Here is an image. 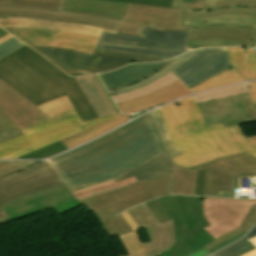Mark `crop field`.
Wrapping results in <instances>:
<instances>
[{
  "mask_svg": "<svg viewBox=\"0 0 256 256\" xmlns=\"http://www.w3.org/2000/svg\"><path fill=\"white\" fill-rule=\"evenodd\" d=\"M137 182L136 178H130L127 179L125 181L119 182L117 183L115 180L113 181H109V182H105L90 188H86V189H82V190H78V191H74L73 193L76 195V197L81 200L87 197H91L103 192H107L110 191L112 189H116L125 185H128L130 183H134Z\"/></svg>",
  "mask_w": 256,
  "mask_h": 256,
  "instance_id": "33",
  "label": "crop field"
},
{
  "mask_svg": "<svg viewBox=\"0 0 256 256\" xmlns=\"http://www.w3.org/2000/svg\"><path fill=\"white\" fill-rule=\"evenodd\" d=\"M102 228L110 237L132 232L120 214L106 222Z\"/></svg>",
  "mask_w": 256,
  "mask_h": 256,
  "instance_id": "41",
  "label": "crop field"
},
{
  "mask_svg": "<svg viewBox=\"0 0 256 256\" xmlns=\"http://www.w3.org/2000/svg\"><path fill=\"white\" fill-rule=\"evenodd\" d=\"M1 27H24V28H34V29H56V30H64L70 31L90 36H99L100 30L104 31H112L108 29H102L92 26L86 25H78V24H68L61 23L55 21H47V20H37V19H28V18H15L8 17V19H0Z\"/></svg>",
  "mask_w": 256,
  "mask_h": 256,
  "instance_id": "21",
  "label": "crop field"
},
{
  "mask_svg": "<svg viewBox=\"0 0 256 256\" xmlns=\"http://www.w3.org/2000/svg\"><path fill=\"white\" fill-rule=\"evenodd\" d=\"M6 34H8V33H6L5 31H3V30L0 28V37L4 36V35H6Z\"/></svg>",
  "mask_w": 256,
  "mask_h": 256,
  "instance_id": "59",
  "label": "crop field"
},
{
  "mask_svg": "<svg viewBox=\"0 0 256 256\" xmlns=\"http://www.w3.org/2000/svg\"><path fill=\"white\" fill-rule=\"evenodd\" d=\"M12 221L10 217L0 219V224Z\"/></svg>",
  "mask_w": 256,
  "mask_h": 256,
  "instance_id": "56",
  "label": "crop field"
},
{
  "mask_svg": "<svg viewBox=\"0 0 256 256\" xmlns=\"http://www.w3.org/2000/svg\"><path fill=\"white\" fill-rule=\"evenodd\" d=\"M129 116L130 115H125L107 122L99 123L89 129L83 130L78 134L62 139L61 141L68 149H70L126 122Z\"/></svg>",
  "mask_w": 256,
  "mask_h": 256,
  "instance_id": "27",
  "label": "crop field"
},
{
  "mask_svg": "<svg viewBox=\"0 0 256 256\" xmlns=\"http://www.w3.org/2000/svg\"><path fill=\"white\" fill-rule=\"evenodd\" d=\"M188 31L161 30L144 27L142 37L100 32L96 48L126 53L146 54L171 59L195 48H187Z\"/></svg>",
  "mask_w": 256,
  "mask_h": 256,
  "instance_id": "5",
  "label": "crop field"
},
{
  "mask_svg": "<svg viewBox=\"0 0 256 256\" xmlns=\"http://www.w3.org/2000/svg\"><path fill=\"white\" fill-rule=\"evenodd\" d=\"M17 39L28 45H42L69 48L93 54L98 38L56 30H34L4 28Z\"/></svg>",
  "mask_w": 256,
  "mask_h": 256,
  "instance_id": "15",
  "label": "crop field"
},
{
  "mask_svg": "<svg viewBox=\"0 0 256 256\" xmlns=\"http://www.w3.org/2000/svg\"><path fill=\"white\" fill-rule=\"evenodd\" d=\"M31 47L42 53L70 76L108 72L129 64L131 60L141 62L162 61L146 55L126 54L97 49H95L93 56H91L63 48Z\"/></svg>",
  "mask_w": 256,
  "mask_h": 256,
  "instance_id": "10",
  "label": "crop field"
},
{
  "mask_svg": "<svg viewBox=\"0 0 256 256\" xmlns=\"http://www.w3.org/2000/svg\"><path fill=\"white\" fill-rule=\"evenodd\" d=\"M189 94L191 92L178 80L149 95L117 103V106L123 113H134Z\"/></svg>",
  "mask_w": 256,
  "mask_h": 256,
  "instance_id": "20",
  "label": "crop field"
},
{
  "mask_svg": "<svg viewBox=\"0 0 256 256\" xmlns=\"http://www.w3.org/2000/svg\"><path fill=\"white\" fill-rule=\"evenodd\" d=\"M0 108L19 129L37 126L36 121L48 118L1 80Z\"/></svg>",
  "mask_w": 256,
  "mask_h": 256,
  "instance_id": "19",
  "label": "crop field"
},
{
  "mask_svg": "<svg viewBox=\"0 0 256 256\" xmlns=\"http://www.w3.org/2000/svg\"><path fill=\"white\" fill-rule=\"evenodd\" d=\"M197 171L177 167L173 194L193 195Z\"/></svg>",
  "mask_w": 256,
  "mask_h": 256,
  "instance_id": "31",
  "label": "crop field"
},
{
  "mask_svg": "<svg viewBox=\"0 0 256 256\" xmlns=\"http://www.w3.org/2000/svg\"><path fill=\"white\" fill-rule=\"evenodd\" d=\"M172 60H173V59L169 60L165 65H163L161 68H159L158 70H156L155 72H153V73L150 74L149 76H151V75L157 73L159 70H161V69H162L163 67H165L167 64H169ZM149 76H147V77H149ZM147 77H145V78H147ZM145 78H143V79H141V80H139V81H137V82H140V81L144 80ZM137 82H135V83H137ZM132 84H134V83H132ZM128 85H131V84H128ZM124 86H127V85H124ZM124 86H121V87H124ZM121 87H118V88H121ZM118 88L110 89V90H108V91L110 92V91H113V90L118 89Z\"/></svg>",
  "mask_w": 256,
  "mask_h": 256,
  "instance_id": "51",
  "label": "crop field"
},
{
  "mask_svg": "<svg viewBox=\"0 0 256 256\" xmlns=\"http://www.w3.org/2000/svg\"><path fill=\"white\" fill-rule=\"evenodd\" d=\"M125 6L124 3L101 0H66L63 10L98 13L120 19Z\"/></svg>",
  "mask_w": 256,
  "mask_h": 256,
  "instance_id": "24",
  "label": "crop field"
},
{
  "mask_svg": "<svg viewBox=\"0 0 256 256\" xmlns=\"http://www.w3.org/2000/svg\"><path fill=\"white\" fill-rule=\"evenodd\" d=\"M163 152L148 115L50 159L72 191L121 177Z\"/></svg>",
  "mask_w": 256,
  "mask_h": 256,
  "instance_id": "1",
  "label": "crop field"
},
{
  "mask_svg": "<svg viewBox=\"0 0 256 256\" xmlns=\"http://www.w3.org/2000/svg\"><path fill=\"white\" fill-rule=\"evenodd\" d=\"M241 100H242L248 114L250 115L252 121L256 122V104L255 105L251 104L249 95L242 96Z\"/></svg>",
  "mask_w": 256,
  "mask_h": 256,
  "instance_id": "46",
  "label": "crop field"
},
{
  "mask_svg": "<svg viewBox=\"0 0 256 256\" xmlns=\"http://www.w3.org/2000/svg\"><path fill=\"white\" fill-rule=\"evenodd\" d=\"M166 62L167 61L150 64H131L121 69L101 74L100 77L104 82L106 88L110 89L127 83L135 82L149 75Z\"/></svg>",
  "mask_w": 256,
  "mask_h": 256,
  "instance_id": "23",
  "label": "crop field"
},
{
  "mask_svg": "<svg viewBox=\"0 0 256 256\" xmlns=\"http://www.w3.org/2000/svg\"><path fill=\"white\" fill-rule=\"evenodd\" d=\"M230 68L228 48H213L200 49L171 72L189 88Z\"/></svg>",
  "mask_w": 256,
  "mask_h": 256,
  "instance_id": "14",
  "label": "crop field"
},
{
  "mask_svg": "<svg viewBox=\"0 0 256 256\" xmlns=\"http://www.w3.org/2000/svg\"><path fill=\"white\" fill-rule=\"evenodd\" d=\"M8 215L6 214V212L5 211H3V212H0V218H2V217H7Z\"/></svg>",
  "mask_w": 256,
  "mask_h": 256,
  "instance_id": "58",
  "label": "crop field"
},
{
  "mask_svg": "<svg viewBox=\"0 0 256 256\" xmlns=\"http://www.w3.org/2000/svg\"><path fill=\"white\" fill-rule=\"evenodd\" d=\"M178 80V78L172 74L171 72L160 78L159 80H157L156 82L142 88V89H139V90H135V91H132L130 93H127V94H123V95H119V96H114L113 99L115 101V103L117 102H121V101H125V100H129V99H132V98H135V97H138V96H141V95H145V94H149L153 91H156L174 81Z\"/></svg>",
  "mask_w": 256,
  "mask_h": 256,
  "instance_id": "32",
  "label": "crop field"
},
{
  "mask_svg": "<svg viewBox=\"0 0 256 256\" xmlns=\"http://www.w3.org/2000/svg\"><path fill=\"white\" fill-rule=\"evenodd\" d=\"M19 135H22L21 131L0 109V143Z\"/></svg>",
  "mask_w": 256,
  "mask_h": 256,
  "instance_id": "37",
  "label": "crop field"
},
{
  "mask_svg": "<svg viewBox=\"0 0 256 256\" xmlns=\"http://www.w3.org/2000/svg\"><path fill=\"white\" fill-rule=\"evenodd\" d=\"M247 92L245 83L193 95L196 102H204Z\"/></svg>",
  "mask_w": 256,
  "mask_h": 256,
  "instance_id": "35",
  "label": "crop field"
},
{
  "mask_svg": "<svg viewBox=\"0 0 256 256\" xmlns=\"http://www.w3.org/2000/svg\"><path fill=\"white\" fill-rule=\"evenodd\" d=\"M146 205L159 223L173 219L176 241L183 238L193 244L199 241L205 244L213 240L202 229L208 226L202 213V197L164 196L146 202Z\"/></svg>",
  "mask_w": 256,
  "mask_h": 256,
  "instance_id": "9",
  "label": "crop field"
},
{
  "mask_svg": "<svg viewBox=\"0 0 256 256\" xmlns=\"http://www.w3.org/2000/svg\"><path fill=\"white\" fill-rule=\"evenodd\" d=\"M205 176H206L205 173H202V172L198 171L194 195L202 196L203 184H204Z\"/></svg>",
  "mask_w": 256,
  "mask_h": 256,
  "instance_id": "47",
  "label": "crop field"
},
{
  "mask_svg": "<svg viewBox=\"0 0 256 256\" xmlns=\"http://www.w3.org/2000/svg\"><path fill=\"white\" fill-rule=\"evenodd\" d=\"M38 162H5L0 161V177L21 170Z\"/></svg>",
  "mask_w": 256,
  "mask_h": 256,
  "instance_id": "42",
  "label": "crop field"
},
{
  "mask_svg": "<svg viewBox=\"0 0 256 256\" xmlns=\"http://www.w3.org/2000/svg\"><path fill=\"white\" fill-rule=\"evenodd\" d=\"M64 2L65 0H0V18L16 16L86 24L138 36L142 35L144 25L188 30V26H183V9L127 4L119 20L98 14L62 11Z\"/></svg>",
  "mask_w": 256,
  "mask_h": 256,
  "instance_id": "4",
  "label": "crop field"
},
{
  "mask_svg": "<svg viewBox=\"0 0 256 256\" xmlns=\"http://www.w3.org/2000/svg\"><path fill=\"white\" fill-rule=\"evenodd\" d=\"M174 166L175 165L163 152L150 161L123 173V177L116 179V181L119 182L133 176H135L138 181L160 177L170 172Z\"/></svg>",
  "mask_w": 256,
  "mask_h": 256,
  "instance_id": "25",
  "label": "crop field"
},
{
  "mask_svg": "<svg viewBox=\"0 0 256 256\" xmlns=\"http://www.w3.org/2000/svg\"><path fill=\"white\" fill-rule=\"evenodd\" d=\"M120 214L133 230V233L119 236L121 242L123 243L124 247L126 248L129 254V255H120V256H147L141 244V241L138 237V233L136 230V229H139L138 225L134 222V220L127 213L126 210Z\"/></svg>",
  "mask_w": 256,
  "mask_h": 256,
  "instance_id": "28",
  "label": "crop field"
},
{
  "mask_svg": "<svg viewBox=\"0 0 256 256\" xmlns=\"http://www.w3.org/2000/svg\"><path fill=\"white\" fill-rule=\"evenodd\" d=\"M250 241L256 246V237L253 238V239H250ZM245 256H256V250L247 254V255H245Z\"/></svg>",
  "mask_w": 256,
  "mask_h": 256,
  "instance_id": "54",
  "label": "crop field"
},
{
  "mask_svg": "<svg viewBox=\"0 0 256 256\" xmlns=\"http://www.w3.org/2000/svg\"><path fill=\"white\" fill-rule=\"evenodd\" d=\"M240 233H242V231L239 228H237V229H235V230H233V231L215 239L214 241L206 244L205 248L209 251L210 249H212L216 245L220 244L221 242H223V241H225V240H227V239H229V238H231V237H233L237 234H240Z\"/></svg>",
  "mask_w": 256,
  "mask_h": 256,
  "instance_id": "45",
  "label": "crop field"
},
{
  "mask_svg": "<svg viewBox=\"0 0 256 256\" xmlns=\"http://www.w3.org/2000/svg\"><path fill=\"white\" fill-rule=\"evenodd\" d=\"M78 205L80 203L63 184L7 203L2 207L14 220L50 209L61 214Z\"/></svg>",
  "mask_w": 256,
  "mask_h": 256,
  "instance_id": "13",
  "label": "crop field"
},
{
  "mask_svg": "<svg viewBox=\"0 0 256 256\" xmlns=\"http://www.w3.org/2000/svg\"><path fill=\"white\" fill-rule=\"evenodd\" d=\"M243 235H244V234L242 233V234H240V235H238V236H236V237H234V238H232V239H230V240H228V241H226V242H224V243L218 245L217 247L213 248V249H212L211 251H209V252L212 253V252H214V251H216V250H218V249H220V248H222V247H224V246L230 244L231 242H233V241H235V240L241 238Z\"/></svg>",
  "mask_w": 256,
  "mask_h": 256,
  "instance_id": "49",
  "label": "crop field"
},
{
  "mask_svg": "<svg viewBox=\"0 0 256 256\" xmlns=\"http://www.w3.org/2000/svg\"><path fill=\"white\" fill-rule=\"evenodd\" d=\"M60 184L62 179L46 161L0 179V205Z\"/></svg>",
  "mask_w": 256,
  "mask_h": 256,
  "instance_id": "12",
  "label": "crop field"
},
{
  "mask_svg": "<svg viewBox=\"0 0 256 256\" xmlns=\"http://www.w3.org/2000/svg\"><path fill=\"white\" fill-rule=\"evenodd\" d=\"M124 3L184 8V25L242 24L256 26V0H204L203 12H190L182 0H109Z\"/></svg>",
  "mask_w": 256,
  "mask_h": 256,
  "instance_id": "8",
  "label": "crop field"
},
{
  "mask_svg": "<svg viewBox=\"0 0 256 256\" xmlns=\"http://www.w3.org/2000/svg\"><path fill=\"white\" fill-rule=\"evenodd\" d=\"M48 61L25 45L0 59V79L35 106L67 95L82 121L97 118L75 77Z\"/></svg>",
  "mask_w": 256,
  "mask_h": 256,
  "instance_id": "3",
  "label": "crop field"
},
{
  "mask_svg": "<svg viewBox=\"0 0 256 256\" xmlns=\"http://www.w3.org/2000/svg\"><path fill=\"white\" fill-rule=\"evenodd\" d=\"M245 41H235L227 39H205V40H188V47H221L247 45Z\"/></svg>",
  "mask_w": 256,
  "mask_h": 256,
  "instance_id": "40",
  "label": "crop field"
},
{
  "mask_svg": "<svg viewBox=\"0 0 256 256\" xmlns=\"http://www.w3.org/2000/svg\"><path fill=\"white\" fill-rule=\"evenodd\" d=\"M183 3H203V0H183Z\"/></svg>",
  "mask_w": 256,
  "mask_h": 256,
  "instance_id": "55",
  "label": "crop field"
},
{
  "mask_svg": "<svg viewBox=\"0 0 256 256\" xmlns=\"http://www.w3.org/2000/svg\"><path fill=\"white\" fill-rule=\"evenodd\" d=\"M184 6H190L191 10L193 9H202L201 4H183Z\"/></svg>",
  "mask_w": 256,
  "mask_h": 256,
  "instance_id": "53",
  "label": "crop field"
},
{
  "mask_svg": "<svg viewBox=\"0 0 256 256\" xmlns=\"http://www.w3.org/2000/svg\"><path fill=\"white\" fill-rule=\"evenodd\" d=\"M171 138L184 154L174 164L192 168L201 163L241 152L256 156V136L245 137L240 126L221 123L205 126L192 96L160 107Z\"/></svg>",
  "mask_w": 256,
  "mask_h": 256,
  "instance_id": "2",
  "label": "crop field"
},
{
  "mask_svg": "<svg viewBox=\"0 0 256 256\" xmlns=\"http://www.w3.org/2000/svg\"><path fill=\"white\" fill-rule=\"evenodd\" d=\"M203 247L204 244L201 242L192 245L182 239L176 242L163 256H187Z\"/></svg>",
  "mask_w": 256,
  "mask_h": 256,
  "instance_id": "38",
  "label": "crop field"
},
{
  "mask_svg": "<svg viewBox=\"0 0 256 256\" xmlns=\"http://www.w3.org/2000/svg\"><path fill=\"white\" fill-rule=\"evenodd\" d=\"M251 101L253 104L256 103V83H247Z\"/></svg>",
  "mask_w": 256,
  "mask_h": 256,
  "instance_id": "48",
  "label": "crop field"
},
{
  "mask_svg": "<svg viewBox=\"0 0 256 256\" xmlns=\"http://www.w3.org/2000/svg\"><path fill=\"white\" fill-rule=\"evenodd\" d=\"M16 38H11L0 44V58L23 46Z\"/></svg>",
  "mask_w": 256,
  "mask_h": 256,
  "instance_id": "43",
  "label": "crop field"
},
{
  "mask_svg": "<svg viewBox=\"0 0 256 256\" xmlns=\"http://www.w3.org/2000/svg\"><path fill=\"white\" fill-rule=\"evenodd\" d=\"M256 223V205L252 206L247 218L240 225V229L246 233Z\"/></svg>",
  "mask_w": 256,
  "mask_h": 256,
  "instance_id": "44",
  "label": "crop field"
},
{
  "mask_svg": "<svg viewBox=\"0 0 256 256\" xmlns=\"http://www.w3.org/2000/svg\"><path fill=\"white\" fill-rule=\"evenodd\" d=\"M241 95L198 104L205 124L221 122L228 127L252 122L240 101Z\"/></svg>",
  "mask_w": 256,
  "mask_h": 256,
  "instance_id": "18",
  "label": "crop field"
},
{
  "mask_svg": "<svg viewBox=\"0 0 256 256\" xmlns=\"http://www.w3.org/2000/svg\"><path fill=\"white\" fill-rule=\"evenodd\" d=\"M152 121L154 123V126L157 130V133L159 135L160 141L162 143V146L169 156V158L182 155V153L178 150V148L173 144L169 132L167 130V127L165 125L164 119L162 117L160 109H156L149 113Z\"/></svg>",
  "mask_w": 256,
  "mask_h": 256,
  "instance_id": "29",
  "label": "crop field"
},
{
  "mask_svg": "<svg viewBox=\"0 0 256 256\" xmlns=\"http://www.w3.org/2000/svg\"><path fill=\"white\" fill-rule=\"evenodd\" d=\"M256 49V48H255Z\"/></svg>",
  "mask_w": 256,
  "mask_h": 256,
  "instance_id": "60",
  "label": "crop field"
},
{
  "mask_svg": "<svg viewBox=\"0 0 256 256\" xmlns=\"http://www.w3.org/2000/svg\"><path fill=\"white\" fill-rule=\"evenodd\" d=\"M176 166L167 175L81 200L102 225L121 211L158 196L172 194Z\"/></svg>",
  "mask_w": 256,
  "mask_h": 256,
  "instance_id": "7",
  "label": "crop field"
},
{
  "mask_svg": "<svg viewBox=\"0 0 256 256\" xmlns=\"http://www.w3.org/2000/svg\"><path fill=\"white\" fill-rule=\"evenodd\" d=\"M94 77L96 78V80L98 81V83L100 84V86L102 87L104 93L106 94V96H107L108 100L110 101L112 107L114 108L116 114H119L120 112L117 110L118 108L116 109V107H115V105H114L112 99L110 98V96H109V94L107 93L106 89H105L104 86L102 85V83H101V81L99 80L98 76H97V75H94ZM101 87H100V88H101Z\"/></svg>",
  "mask_w": 256,
  "mask_h": 256,
  "instance_id": "50",
  "label": "crop field"
},
{
  "mask_svg": "<svg viewBox=\"0 0 256 256\" xmlns=\"http://www.w3.org/2000/svg\"><path fill=\"white\" fill-rule=\"evenodd\" d=\"M37 108H39L46 115L51 117L55 114L65 112L73 107H72L71 103L69 102L67 96H65V97L57 99L55 101L37 106Z\"/></svg>",
  "mask_w": 256,
  "mask_h": 256,
  "instance_id": "39",
  "label": "crop field"
},
{
  "mask_svg": "<svg viewBox=\"0 0 256 256\" xmlns=\"http://www.w3.org/2000/svg\"><path fill=\"white\" fill-rule=\"evenodd\" d=\"M67 150L64 144L59 140L37 150H34L26 155L16 159H44L56 155L60 152Z\"/></svg>",
  "mask_w": 256,
  "mask_h": 256,
  "instance_id": "36",
  "label": "crop field"
},
{
  "mask_svg": "<svg viewBox=\"0 0 256 256\" xmlns=\"http://www.w3.org/2000/svg\"><path fill=\"white\" fill-rule=\"evenodd\" d=\"M83 92L93 105L99 117L114 115L115 112L93 75L76 77Z\"/></svg>",
  "mask_w": 256,
  "mask_h": 256,
  "instance_id": "26",
  "label": "crop field"
},
{
  "mask_svg": "<svg viewBox=\"0 0 256 256\" xmlns=\"http://www.w3.org/2000/svg\"><path fill=\"white\" fill-rule=\"evenodd\" d=\"M194 170L207 173L203 196L224 197L217 196L218 191L234 195L240 190V178H251L252 188L256 187V157L246 152L217 159Z\"/></svg>",
  "mask_w": 256,
  "mask_h": 256,
  "instance_id": "11",
  "label": "crop field"
},
{
  "mask_svg": "<svg viewBox=\"0 0 256 256\" xmlns=\"http://www.w3.org/2000/svg\"><path fill=\"white\" fill-rule=\"evenodd\" d=\"M10 37H12V36L8 34V35H6V36L0 38V42L4 41V40H6V39H8V38H10Z\"/></svg>",
  "mask_w": 256,
  "mask_h": 256,
  "instance_id": "57",
  "label": "crop field"
},
{
  "mask_svg": "<svg viewBox=\"0 0 256 256\" xmlns=\"http://www.w3.org/2000/svg\"><path fill=\"white\" fill-rule=\"evenodd\" d=\"M115 115L86 123H81L75 110L38 121L40 126L22 129L24 135L0 144V159H13L34 149L78 133L99 122L120 116Z\"/></svg>",
  "mask_w": 256,
  "mask_h": 256,
  "instance_id": "6",
  "label": "crop field"
},
{
  "mask_svg": "<svg viewBox=\"0 0 256 256\" xmlns=\"http://www.w3.org/2000/svg\"><path fill=\"white\" fill-rule=\"evenodd\" d=\"M197 50H199V49H197ZM197 50H193V51H191V52H189L187 54H184V55L176 57L168 66H166L164 69H162L157 74L151 76L150 78L145 79L143 82H140V83L132 85V86H127V87L115 90L113 92H110V95L114 96V95H118V94L127 93L129 91H132V90H135V89H139V88H141V87H143V86H145L147 84H150V83L156 81L160 77L168 74L174 68L178 67L181 63H183L188 57H190Z\"/></svg>",
  "mask_w": 256,
  "mask_h": 256,
  "instance_id": "30",
  "label": "crop field"
},
{
  "mask_svg": "<svg viewBox=\"0 0 256 256\" xmlns=\"http://www.w3.org/2000/svg\"><path fill=\"white\" fill-rule=\"evenodd\" d=\"M256 236V226L238 243L212 255V256H243L256 247L248 240Z\"/></svg>",
  "mask_w": 256,
  "mask_h": 256,
  "instance_id": "34",
  "label": "crop field"
},
{
  "mask_svg": "<svg viewBox=\"0 0 256 256\" xmlns=\"http://www.w3.org/2000/svg\"><path fill=\"white\" fill-rule=\"evenodd\" d=\"M127 211L151 238V242L143 244L148 256L163 254L175 243L172 220L159 224L145 203Z\"/></svg>",
  "mask_w": 256,
  "mask_h": 256,
  "instance_id": "17",
  "label": "crop field"
},
{
  "mask_svg": "<svg viewBox=\"0 0 256 256\" xmlns=\"http://www.w3.org/2000/svg\"><path fill=\"white\" fill-rule=\"evenodd\" d=\"M208 254H210V253L204 248V249H202V250H200V251H198V252H196V253H194L190 256H206Z\"/></svg>",
  "mask_w": 256,
  "mask_h": 256,
  "instance_id": "52",
  "label": "crop field"
},
{
  "mask_svg": "<svg viewBox=\"0 0 256 256\" xmlns=\"http://www.w3.org/2000/svg\"><path fill=\"white\" fill-rule=\"evenodd\" d=\"M227 38L249 41L248 45H256V27L245 26H215L189 28L188 39Z\"/></svg>",
  "mask_w": 256,
  "mask_h": 256,
  "instance_id": "22",
  "label": "crop field"
},
{
  "mask_svg": "<svg viewBox=\"0 0 256 256\" xmlns=\"http://www.w3.org/2000/svg\"><path fill=\"white\" fill-rule=\"evenodd\" d=\"M232 69L195 85L192 93L246 80H256V52L246 47L229 48Z\"/></svg>",
  "mask_w": 256,
  "mask_h": 256,
  "instance_id": "16",
  "label": "crop field"
}]
</instances>
